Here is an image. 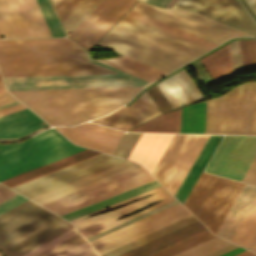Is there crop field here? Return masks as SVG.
<instances>
[{"mask_svg": "<svg viewBox=\"0 0 256 256\" xmlns=\"http://www.w3.org/2000/svg\"><path fill=\"white\" fill-rule=\"evenodd\" d=\"M93 61L77 44L0 47V64ZM7 89L148 84L97 62L0 65ZM145 85L8 90L51 125H75L125 104Z\"/></svg>", "mask_w": 256, "mask_h": 256, "instance_id": "8a807250", "label": "crop field"}, {"mask_svg": "<svg viewBox=\"0 0 256 256\" xmlns=\"http://www.w3.org/2000/svg\"><path fill=\"white\" fill-rule=\"evenodd\" d=\"M71 227L28 200L0 215V249L5 256H20Z\"/></svg>", "mask_w": 256, "mask_h": 256, "instance_id": "ac0d7876", "label": "crop field"}, {"mask_svg": "<svg viewBox=\"0 0 256 256\" xmlns=\"http://www.w3.org/2000/svg\"><path fill=\"white\" fill-rule=\"evenodd\" d=\"M54 130L21 143L0 144V182L86 149L73 145Z\"/></svg>", "mask_w": 256, "mask_h": 256, "instance_id": "34b2d1b8", "label": "crop field"}, {"mask_svg": "<svg viewBox=\"0 0 256 256\" xmlns=\"http://www.w3.org/2000/svg\"><path fill=\"white\" fill-rule=\"evenodd\" d=\"M97 44L167 73L197 57L118 24Z\"/></svg>", "mask_w": 256, "mask_h": 256, "instance_id": "412701ff", "label": "crop field"}, {"mask_svg": "<svg viewBox=\"0 0 256 256\" xmlns=\"http://www.w3.org/2000/svg\"><path fill=\"white\" fill-rule=\"evenodd\" d=\"M205 133L256 134V83L208 100Z\"/></svg>", "mask_w": 256, "mask_h": 256, "instance_id": "f4fd0767", "label": "crop field"}, {"mask_svg": "<svg viewBox=\"0 0 256 256\" xmlns=\"http://www.w3.org/2000/svg\"><path fill=\"white\" fill-rule=\"evenodd\" d=\"M242 186L201 172L183 205L215 234Z\"/></svg>", "mask_w": 256, "mask_h": 256, "instance_id": "dd49c442", "label": "crop field"}, {"mask_svg": "<svg viewBox=\"0 0 256 256\" xmlns=\"http://www.w3.org/2000/svg\"><path fill=\"white\" fill-rule=\"evenodd\" d=\"M132 9L208 39L217 44L236 36H252L192 10L158 8L137 2Z\"/></svg>", "mask_w": 256, "mask_h": 256, "instance_id": "e52e79f7", "label": "crop field"}, {"mask_svg": "<svg viewBox=\"0 0 256 256\" xmlns=\"http://www.w3.org/2000/svg\"><path fill=\"white\" fill-rule=\"evenodd\" d=\"M156 191H158L157 193H155ZM155 193L143 200L137 201V202H133L130 204H127L119 209L107 212V213H103V214H99V215H95V216H91V217H87V218H83L86 217L88 215L91 214H95V213H99V212H103L109 209H113L116 208L120 205L126 204L128 202L137 200L139 198L145 197L149 194ZM163 200V201H161ZM174 200V198L162 187H158L155 189H152L150 191L144 192L142 194L136 195L134 197L128 198L126 200L120 201L118 203L112 204L110 206L104 207L102 209L96 210L94 212L88 213L86 215L80 216L78 218L72 219L70 220L78 229L79 231L86 237H90L92 235H95L99 232H102L108 228H111L115 225H118L122 222H125L131 218H134L140 214H143L147 211H150L156 207H159L165 203H168L170 201ZM157 201H161L141 212H137L135 214H132L126 218H122V219H118L126 214L132 213L134 211H137L147 205H150L154 202ZM83 218V220L81 219ZM118 219V220H116Z\"/></svg>", "mask_w": 256, "mask_h": 256, "instance_id": "d8731c3e", "label": "crop field"}, {"mask_svg": "<svg viewBox=\"0 0 256 256\" xmlns=\"http://www.w3.org/2000/svg\"><path fill=\"white\" fill-rule=\"evenodd\" d=\"M182 137L183 135L174 134L164 154L151 174L157 180ZM207 137L208 135H184L172 158L160 176L158 181L174 195Z\"/></svg>", "mask_w": 256, "mask_h": 256, "instance_id": "5a996713", "label": "crop field"}, {"mask_svg": "<svg viewBox=\"0 0 256 256\" xmlns=\"http://www.w3.org/2000/svg\"><path fill=\"white\" fill-rule=\"evenodd\" d=\"M0 34L5 38L51 36L36 0H0Z\"/></svg>", "mask_w": 256, "mask_h": 256, "instance_id": "3316defc", "label": "crop field"}, {"mask_svg": "<svg viewBox=\"0 0 256 256\" xmlns=\"http://www.w3.org/2000/svg\"><path fill=\"white\" fill-rule=\"evenodd\" d=\"M256 156V137L225 136L207 172L242 180Z\"/></svg>", "mask_w": 256, "mask_h": 256, "instance_id": "28ad6ade", "label": "crop field"}, {"mask_svg": "<svg viewBox=\"0 0 256 256\" xmlns=\"http://www.w3.org/2000/svg\"><path fill=\"white\" fill-rule=\"evenodd\" d=\"M191 215L179 203L90 241L100 253Z\"/></svg>", "mask_w": 256, "mask_h": 256, "instance_id": "d1516ede", "label": "crop field"}, {"mask_svg": "<svg viewBox=\"0 0 256 256\" xmlns=\"http://www.w3.org/2000/svg\"><path fill=\"white\" fill-rule=\"evenodd\" d=\"M152 180H154V178L152 176H150L142 167H140L138 169H135V170H132L125 174L119 175V176L109 179L107 181H104V182H101L94 186L83 189L74 194H71V195L65 196L63 198L57 199L55 201H52L50 203L44 204L42 206L62 215L64 213L70 212L72 210L78 209L80 207L86 206L93 202L99 201L101 199L107 198L109 196L115 195L117 193L123 192L125 190H128L130 188L136 187L138 185L144 184V183L152 181ZM90 191H92V192H90ZM87 192H90V193H88L80 198L60 202V201H63V200L87 193ZM93 194H95V196H93L89 199H86L82 202L72 204V203L82 200L86 197H89ZM58 202H60V203H58ZM69 204H72V205H69ZM67 205H69V206H67ZM65 206H67V207H65Z\"/></svg>", "mask_w": 256, "mask_h": 256, "instance_id": "22f410ed", "label": "crop field"}, {"mask_svg": "<svg viewBox=\"0 0 256 256\" xmlns=\"http://www.w3.org/2000/svg\"><path fill=\"white\" fill-rule=\"evenodd\" d=\"M136 0H103L68 38L90 49Z\"/></svg>", "mask_w": 256, "mask_h": 256, "instance_id": "cbeb9de0", "label": "crop field"}, {"mask_svg": "<svg viewBox=\"0 0 256 256\" xmlns=\"http://www.w3.org/2000/svg\"><path fill=\"white\" fill-rule=\"evenodd\" d=\"M172 8L192 9L256 36V23L239 0H177Z\"/></svg>", "mask_w": 256, "mask_h": 256, "instance_id": "5142ce71", "label": "crop field"}, {"mask_svg": "<svg viewBox=\"0 0 256 256\" xmlns=\"http://www.w3.org/2000/svg\"><path fill=\"white\" fill-rule=\"evenodd\" d=\"M54 128L76 144L109 154L113 153L124 134L91 122H86L75 127Z\"/></svg>", "mask_w": 256, "mask_h": 256, "instance_id": "d9b57169", "label": "crop field"}, {"mask_svg": "<svg viewBox=\"0 0 256 256\" xmlns=\"http://www.w3.org/2000/svg\"><path fill=\"white\" fill-rule=\"evenodd\" d=\"M159 113L160 111L145 91L128 107H123L105 117L92 120V122L126 131Z\"/></svg>", "mask_w": 256, "mask_h": 256, "instance_id": "733c2abd", "label": "crop field"}, {"mask_svg": "<svg viewBox=\"0 0 256 256\" xmlns=\"http://www.w3.org/2000/svg\"><path fill=\"white\" fill-rule=\"evenodd\" d=\"M48 126L26 108L0 117V140L20 139Z\"/></svg>", "mask_w": 256, "mask_h": 256, "instance_id": "4a817a6b", "label": "crop field"}, {"mask_svg": "<svg viewBox=\"0 0 256 256\" xmlns=\"http://www.w3.org/2000/svg\"><path fill=\"white\" fill-rule=\"evenodd\" d=\"M137 167H140V165L126 161L124 163L118 164L111 168L105 169L103 171L92 174L85 178L71 182L69 184L58 187L56 189L45 192L38 196L32 197L30 199L35 201L36 203L42 205V204L49 202L53 199L63 197L65 195H68L75 191L81 190L89 185L95 184L97 182L103 181L105 179L111 178L113 176L119 175V174L127 172L129 170L135 169Z\"/></svg>", "mask_w": 256, "mask_h": 256, "instance_id": "bc2a9ffb", "label": "crop field"}, {"mask_svg": "<svg viewBox=\"0 0 256 256\" xmlns=\"http://www.w3.org/2000/svg\"><path fill=\"white\" fill-rule=\"evenodd\" d=\"M156 84L172 108L203 99L184 69Z\"/></svg>", "mask_w": 256, "mask_h": 256, "instance_id": "214f88e0", "label": "crop field"}, {"mask_svg": "<svg viewBox=\"0 0 256 256\" xmlns=\"http://www.w3.org/2000/svg\"><path fill=\"white\" fill-rule=\"evenodd\" d=\"M173 134L142 133L128 160L140 163L150 174Z\"/></svg>", "mask_w": 256, "mask_h": 256, "instance_id": "92a150f3", "label": "crop field"}, {"mask_svg": "<svg viewBox=\"0 0 256 256\" xmlns=\"http://www.w3.org/2000/svg\"><path fill=\"white\" fill-rule=\"evenodd\" d=\"M118 24L123 25L125 27H128L130 29H133L135 31H138L140 33H143L145 35H148L150 37H153L155 39H158L162 42H165L167 44H170L172 46H175L177 48H180L182 50H185L187 52H190L192 54H195L197 56L205 53L209 49L204 48L200 45H197L195 43H192L190 41H187L183 38H180L178 36H175L173 34H170L166 31H163L161 29H158L156 27H153L149 24H146L144 22H141L139 20H136L132 17H129L125 15Z\"/></svg>", "mask_w": 256, "mask_h": 256, "instance_id": "dafd665d", "label": "crop field"}, {"mask_svg": "<svg viewBox=\"0 0 256 256\" xmlns=\"http://www.w3.org/2000/svg\"><path fill=\"white\" fill-rule=\"evenodd\" d=\"M256 197V187L244 184L216 235L231 240L243 217Z\"/></svg>", "mask_w": 256, "mask_h": 256, "instance_id": "00972430", "label": "crop field"}, {"mask_svg": "<svg viewBox=\"0 0 256 256\" xmlns=\"http://www.w3.org/2000/svg\"><path fill=\"white\" fill-rule=\"evenodd\" d=\"M126 160L118 159L111 157L109 159L103 160L101 162L95 163L93 165L87 166L85 168H82L80 170L74 171L72 173L66 174L64 176L58 177L56 179L50 180L48 182H45L43 184L37 185L35 187L29 188L27 190L19 192L20 194L30 198L32 196L38 195L40 193H43L45 191L51 190L53 188H56L58 186L64 185L66 183H69L71 181L77 180L79 178L85 177L87 175H90L92 173L98 172L100 170H103L105 168L111 167L113 165H116L118 163L124 162Z\"/></svg>", "mask_w": 256, "mask_h": 256, "instance_id": "a9b5d70f", "label": "crop field"}, {"mask_svg": "<svg viewBox=\"0 0 256 256\" xmlns=\"http://www.w3.org/2000/svg\"><path fill=\"white\" fill-rule=\"evenodd\" d=\"M98 152L86 149L84 151L78 152L76 154H73L71 156H68L66 158L60 159L58 161H55L53 163L47 164L45 166H42L40 168L34 169L32 171H29L27 173H24L22 175L16 176L14 178H11L9 180L1 182L2 184L12 188L14 186H17L19 184L25 183L27 181L33 180L35 178L41 177L43 175H46L48 173L54 172L56 170L62 169L64 167H67L69 165L75 164L77 162L83 161L85 159H88L90 157L96 156Z\"/></svg>", "mask_w": 256, "mask_h": 256, "instance_id": "4177f3b9", "label": "crop field"}, {"mask_svg": "<svg viewBox=\"0 0 256 256\" xmlns=\"http://www.w3.org/2000/svg\"><path fill=\"white\" fill-rule=\"evenodd\" d=\"M204 230H206V228L197 221L121 256H147Z\"/></svg>", "mask_w": 256, "mask_h": 256, "instance_id": "730fd06b", "label": "crop field"}, {"mask_svg": "<svg viewBox=\"0 0 256 256\" xmlns=\"http://www.w3.org/2000/svg\"><path fill=\"white\" fill-rule=\"evenodd\" d=\"M199 60L214 82L235 73L229 44Z\"/></svg>", "mask_w": 256, "mask_h": 256, "instance_id": "eef30255", "label": "crop field"}, {"mask_svg": "<svg viewBox=\"0 0 256 256\" xmlns=\"http://www.w3.org/2000/svg\"><path fill=\"white\" fill-rule=\"evenodd\" d=\"M220 138L221 136L209 135L207 141L205 142L203 148L201 149L199 155L197 156L195 162L193 163L192 167L190 168L188 174L186 175L184 181L182 182L180 188L175 195L182 204Z\"/></svg>", "mask_w": 256, "mask_h": 256, "instance_id": "ae1a2a85", "label": "crop field"}, {"mask_svg": "<svg viewBox=\"0 0 256 256\" xmlns=\"http://www.w3.org/2000/svg\"><path fill=\"white\" fill-rule=\"evenodd\" d=\"M195 221H197V219L193 215H191V216L184 218L178 222H175V223L168 225L164 228H161L155 232H152V233L145 235L141 238H138L132 242H129L125 245L115 248L109 252H106V253L102 254V256H119V255L126 253L132 249H135L141 245H144L152 240H155L161 236H164L170 232H173L179 228H182L188 224H191Z\"/></svg>", "mask_w": 256, "mask_h": 256, "instance_id": "d3111659", "label": "crop field"}, {"mask_svg": "<svg viewBox=\"0 0 256 256\" xmlns=\"http://www.w3.org/2000/svg\"><path fill=\"white\" fill-rule=\"evenodd\" d=\"M160 184L154 180L152 182L146 183L144 185L138 186L136 188L130 189L123 193L117 194L115 196L109 197L107 199L101 200L99 202L93 203L86 207L80 208L78 210L72 211L70 213L62 215L64 218L70 220L72 218L78 217L80 215L86 214L88 212L94 211L96 209L102 208L104 206L110 205L112 203L118 202L120 200L126 199L128 197L134 196L136 194L142 193L144 191L150 190L152 188L158 187Z\"/></svg>", "mask_w": 256, "mask_h": 256, "instance_id": "750c4746", "label": "crop field"}, {"mask_svg": "<svg viewBox=\"0 0 256 256\" xmlns=\"http://www.w3.org/2000/svg\"><path fill=\"white\" fill-rule=\"evenodd\" d=\"M206 101L182 108L180 132L204 133Z\"/></svg>", "mask_w": 256, "mask_h": 256, "instance_id": "bd1437ed", "label": "crop field"}, {"mask_svg": "<svg viewBox=\"0 0 256 256\" xmlns=\"http://www.w3.org/2000/svg\"><path fill=\"white\" fill-rule=\"evenodd\" d=\"M181 108L162 114L131 131L179 132Z\"/></svg>", "mask_w": 256, "mask_h": 256, "instance_id": "1d83c4d3", "label": "crop field"}, {"mask_svg": "<svg viewBox=\"0 0 256 256\" xmlns=\"http://www.w3.org/2000/svg\"><path fill=\"white\" fill-rule=\"evenodd\" d=\"M127 15L132 16V17H134V18H136V19H139V20H141V21H144V22H146V23H149V24H151V25H153V26H156V27H158V28H161V29H163V30H166V31H168V32H170V33H173V34H175V35H178V36H180V37H183V38H185V39H187V40H190V41H192V42H195V43H197V44H200V45H202V46H204V47H207V48H209V49H211V48H213V47H215V46L217 45V44L212 43V42H210V41H207V40H205V39H203V38H200V37H198V36H195V35H193V34H190V33H188V32H185V31H183V30H181V29H178V28H176V27H173V26H171V25H168V24H166V23H163V22H161V21H159V20H156V19L151 18V17H149V16H146V15H144V14H141V13H139V12H137V11L132 10V9L129 10V12L127 13Z\"/></svg>", "mask_w": 256, "mask_h": 256, "instance_id": "120bbe31", "label": "crop field"}, {"mask_svg": "<svg viewBox=\"0 0 256 256\" xmlns=\"http://www.w3.org/2000/svg\"><path fill=\"white\" fill-rule=\"evenodd\" d=\"M102 0H83L62 22L69 35Z\"/></svg>", "mask_w": 256, "mask_h": 256, "instance_id": "d32e631a", "label": "crop field"}, {"mask_svg": "<svg viewBox=\"0 0 256 256\" xmlns=\"http://www.w3.org/2000/svg\"><path fill=\"white\" fill-rule=\"evenodd\" d=\"M255 230H256V199L254 200L249 211L244 217L242 223L237 229L235 235L232 238V241L246 247L247 243L249 242Z\"/></svg>", "mask_w": 256, "mask_h": 256, "instance_id": "5866460e", "label": "crop field"}, {"mask_svg": "<svg viewBox=\"0 0 256 256\" xmlns=\"http://www.w3.org/2000/svg\"><path fill=\"white\" fill-rule=\"evenodd\" d=\"M109 157H111V156H107V155H104V154H101V155L93 157V158L90 157L91 159L85 160V161L80 162V163L77 162L78 164H75V165H72V166L69 165L70 167L64 168L62 170H59V171L51 173V174L48 173L49 175L43 176L41 178L35 179L33 181H30V182L27 181L28 183H25V184H22V185L19 184L20 186L14 187L12 189L19 192L21 190H24V189H27L29 187L35 186L37 184L43 183V182L48 181L50 179L56 178L58 176L64 175L66 173L72 172L74 170L80 169L82 167H85L87 165L93 164L95 162L101 161V160L109 158Z\"/></svg>", "mask_w": 256, "mask_h": 256, "instance_id": "028f5c9d", "label": "crop field"}, {"mask_svg": "<svg viewBox=\"0 0 256 256\" xmlns=\"http://www.w3.org/2000/svg\"><path fill=\"white\" fill-rule=\"evenodd\" d=\"M215 237L212 233H210L208 230L200 233V234H197L191 238H188L184 241H181L175 245H172L166 249H163L157 253H154L150 256H172L176 253H179L185 249H188L192 246H195L199 243H202L208 239H211Z\"/></svg>", "mask_w": 256, "mask_h": 256, "instance_id": "e1f06a70", "label": "crop field"}, {"mask_svg": "<svg viewBox=\"0 0 256 256\" xmlns=\"http://www.w3.org/2000/svg\"><path fill=\"white\" fill-rule=\"evenodd\" d=\"M52 36H65L50 0H37Z\"/></svg>", "mask_w": 256, "mask_h": 256, "instance_id": "0bd39190", "label": "crop field"}, {"mask_svg": "<svg viewBox=\"0 0 256 256\" xmlns=\"http://www.w3.org/2000/svg\"><path fill=\"white\" fill-rule=\"evenodd\" d=\"M231 243L215 237L174 256H204Z\"/></svg>", "mask_w": 256, "mask_h": 256, "instance_id": "b80d0937", "label": "crop field"}, {"mask_svg": "<svg viewBox=\"0 0 256 256\" xmlns=\"http://www.w3.org/2000/svg\"><path fill=\"white\" fill-rule=\"evenodd\" d=\"M245 70L256 69V40H239Z\"/></svg>", "mask_w": 256, "mask_h": 256, "instance_id": "c035e120", "label": "crop field"}, {"mask_svg": "<svg viewBox=\"0 0 256 256\" xmlns=\"http://www.w3.org/2000/svg\"><path fill=\"white\" fill-rule=\"evenodd\" d=\"M74 43L67 38H45V39H9L0 40V46L6 45H34V44H62Z\"/></svg>", "mask_w": 256, "mask_h": 256, "instance_id": "c21b1889", "label": "crop field"}, {"mask_svg": "<svg viewBox=\"0 0 256 256\" xmlns=\"http://www.w3.org/2000/svg\"><path fill=\"white\" fill-rule=\"evenodd\" d=\"M76 233H78V232L73 227L21 256H36V255L40 254L41 252L51 248L52 246L60 243L61 241L69 238L70 236H72Z\"/></svg>", "mask_w": 256, "mask_h": 256, "instance_id": "03da06ac", "label": "crop field"}, {"mask_svg": "<svg viewBox=\"0 0 256 256\" xmlns=\"http://www.w3.org/2000/svg\"><path fill=\"white\" fill-rule=\"evenodd\" d=\"M85 241L82 236L78 233L72 237H70L69 239L61 242L60 244L52 247L51 249L41 253L38 256H57L63 252H65L66 250L76 246L77 244L81 243Z\"/></svg>", "mask_w": 256, "mask_h": 256, "instance_id": "b54c1fbb", "label": "crop field"}, {"mask_svg": "<svg viewBox=\"0 0 256 256\" xmlns=\"http://www.w3.org/2000/svg\"><path fill=\"white\" fill-rule=\"evenodd\" d=\"M140 135L141 133H126L119 147L117 146L118 148L115 154H113L115 156L127 159Z\"/></svg>", "mask_w": 256, "mask_h": 256, "instance_id": "5d738f31", "label": "crop field"}, {"mask_svg": "<svg viewBox=\"0 0 256 256\" xmlns=\"http://www.w3.org/2000/svg\"><path fill=\"white\" fill-rule=\"evenodd\" d=\"M59 256H98V255L85 241Z\"/></svg>", "mask_w": 256, "mask_h": 256, "instance_id": "d23c7cc5", "label": "crop field"}, {"mask_svg": "<svg viewBox=\"0 0 256 256\" xmlns=\"http://www.w3.org/2000/svg\"><path fill=\"white\" fill-rule=\"evenodd\" d=\"M81 1L82 0H61L55 6L61 21H63Z\"/></svg>", "mask_w": 256, "mask_h": 256, "instance_id": "425ffa30", "label": "crop field"}, {"mask_svg": "<svg viewBox=\"0 0 256 256\" xmlns=\"http://www.w3.org/2000/svg\"><path fill=\"white\" fill-rule=\"evenodd\" d=\"M230 45H231V50H232V55H233L235 71H236V73L243 71L244 68H243V63H242L241 52H240L238 40L230 42Z\"/></svg>", "mask_w": 256, "mask_h": 256, "instance_id": "25e5ab78", "label": "crop field"}, {"mask_svg": "<svg viewBox=\"0 0 256 256\" xmlns=\"http://www.w3.org/2000/svg\"><path fill=\"white\" fill-rule=\"evenodd\" d=\"M26 200H28V199H26L18 194L7 199L6 201L0 203V214L10 210L11 208L19 205L20 203H22Z\"/></svg>", "mask_w": 256, "mask_h": 256, "instance_id": "73cf0c24", "label": "crop field"}, {"mask_svg": "<svg viewBox=\"0 0 256 256\" xmlns=\"http://www.w3.org/2000/svg\"><path fill=\"white\" fill-rule=\"evenodd\" d=\"M243 181L252 183V184H256V158H255L254 162L252 163L250 169L248 170L247 174L245 175Z\"/></svg>", "mask_w": 256, "mask_h": 256, "instance_id": "89e229c0", "label": "crop field"}, {"mask_svg": "<svg viewBox=\"0 0 256 256\" xmlns=\"http://www.w3.org/2000/svg\"><path fill=\"white\" fill-rule=\"evenodd\" d=\"M23 108H26V107L24 105L20 104V105H16V106H13V107H10V108L0 110V116H3L5 114H8V113H11V112L23 109Z\"/></svg>", "mask_w": 256, "mask_h": 256, "instance_id": "1f2cbd36", "label": "crop field"}, {"mask_svg": "<svg viewBox=\"0 0 256 256\" xmlns=\"http://www.w3.org/2000/svg\"><path fill=\"white\" fill-rule=\"evenodd\" d=\"M12 192H14V191H12V190H10V189H8V188H6L5 186H3V185H1L0 184V199L1 198H3V197H5V196H7L8 194H10V193H12ZM15 193V192H14ZM13 194V193H12ZM16 194V193H15ZM15 194H13V195H15ZM11 195V194H10ZM13 195H11V196H13ZM9 196V195H8ZM7 196V197H8ZM11 196H9V197H11ZM8 197V198H9ZM6 198V197H5ZM4 199V198H3ZM7 199V198H6ZM6 199H4V200H6ZM2 200V199H1ZM0 200V201H1ZM4 200H2V201H4ZM1 201V202H2Z\"/></svg>", "mask_w": 256, "mask_h": 256, "instance_id": "dbb93151", "label": "crop field"}, {"mask_svg": "<svg viewBox=\"0 0 256 256\" xmlns=\"http://www.w3.org/2000/svg\"><path fill=\"white\" fill-rule=\"evenodd\" d=\"M236 247H238V246H236V245H234V244H231V245H229V246H227V247H225V248H222V249H220V250H218V251H215V252H213V253H211V254H209V255H206V256H218V255H220V254H222V253H225V252H227V251H229V250H231V249H234V248H236Z\"/></svg>", "mask_w": 256, "mask_h": 256, "instance_id": "0fb4a251", "label": "crop field"}, {"mask_svg": "<svg viewBox=\"0 0 256 256\" xmlns=\"http://www.w3.org/2000/svg\"><path fill=\"white\" fill-rule=\"evenodd\" d=\"M16 101L11 95L8 93L0 95V105Z\"/></svg>", "mask_w": 256, "mask_h": 256, "instance_id": "1d79db26", "label": "crop field"}, {"mask_svg": "<svg viewBox=\"0 0 256 256\" xmlns=\"http://www.w3.org/2000/svg\"><path fill=\"white\" fill-rule=\"evenodd\" d=\"M247 248L256 252V231H255L254 235L252 236L250 242L248 243Z\"/></svg>", "mask_w": 256, "mask_h": 256, "instance_id": "9d1cf04e", "label": "crop field"}, {"mask_svg": "<svg viewBox=\"0 0 256 256\" xmlns=\"http://www.w3.org/2000/svg\"><path fill=\"white\" fill-rule=\"evenodd\" d=\"M171 0H146V2L153 3L159 6H167Z\"/></svg>", "mask_w": 256, "mask_h": 256, "instance_id": "447ae74e", "label": "crop field"}, {"mask_svg": "<svg viewBox=\"0 0 256 256\" xmlns=\"http://www.w3.org/2000/svg\"><path fill=\"white\" fill-rule=\"evenodd\" d=\"M248 6L251 8L253 13L256 15V0H245Z\"/></svg>", "mask_w": 256, "mask_h": 256, "instance_id": "0765c3eb", "label": "crop field"}, {"mask_svg": "<svg viewBox=\"0 0 256 256\" xmlns=\"http://www.w3.org/2000/svg\"><path fill=\"white\" fill-rule=\"evenodd\" d=\"M243 250H245V249H243V248H241V247H238V248H236V249H234V250H231V251H229V252H227V253H225V254H222V255H220V256H232V255H234V254H236V253H239V252H241V251H243Z\"/></svg>", "mask_w": 256, "mask_h": 256, "instance_id": "db79e9e6", "label": "crop field"}, {"mask_svg": "<svg viewBox=\"0 0 256 256\" xmlns=\"http://www.w3.org/2000/svg\"><path fill=\"white\" fill-rule=\"evenodd\" d=\"M254 255H256V254H254V253H252V252H250L248 250H245V251H243V252H241L239 254H236L234 256H254Z\"/></svg>", "mask_w": 256, "mask_h": 256, "instance_id": "7b73153f", "label": "crop field"}, {"mask_svg": "<svg viewBox=\"0 0 256 256\" xmlns=\"http://www.w3.org/2000/svg\"><path fill=\"white\" fill-rule=\"evenodd\" d=\"M16 104H20V103L18 101L13 102V103H9V104L0 106V109L6 108V107H10V106H13V105H16Z\"/></svg>", "mask_w": 256, "mask_h": 256, "instance_id": "78b8030e", "label": "crop field"}, {"mask_svg": "<svg viewBox=\"0 0 256 256\" xmlns=\"http://www.w3.org/2000/svg\"><path fill=\"white\" fill-rule=\"evenodd\" d=\"M6 93L5 89H0V94Z\"/></svg>", "mask_w": 256, "mask_h": 256, "instance_id": "0f1d7ab4", "label": "crop field"}, {"mask_svg": "<svg viewBox=\"0 0 256 256\" xmlns=\"http://www.w3.org/2000/svg\"><path fill=\"white\" fill-rule=\"evenodd\" d=\"M174 2H175V0H172V1L169 3L168 6L171 7Z\"/></svg>", "mask_w": 256, "mask_h": 256, "instance_id": "e1d0b9f6", "label": "crop field"}, {"mask_svg": "<svg viewBox=\"0 0 256 256\" xmlns=\"http://www.w3.org/2000/svg\"><path fill=\"white\" fill-rule=\"evenodd\" d=\"M54 5H56L60 0H52Z\"/></svg>", "mask_w": 256, "mask_h": 256, "instance_id": "ae633e8c", "label": "crop field"}, {"mask_svg": "<svg viewBox=\"0 0 256 256\" xmlns=\"http://www.w3.org/2000/svg\"><path fill=\"white\" fill-rule=\"evenodd\" d=\"M0 88H4L3 87V83H2V80L0 79Z\"/></svg>", "mask_w": 256, "mask_h": 256, "instance_id": "d14b1444", "label": "crop field"}, {"mask_svg": "<svg viewBox=\"0 0 256 256\" xmlns=\"http://www.w3.org/2000/svg\"><path fill=\"white\" fill-rule=\"evenodd\" d=\"M0 256H2V255L0 254Z\"/></svg>", "mask_w": 256, "mask_h": 256, "instance_id": "c39391a2", "label": "crop field"}, {"mask_svg": "<svg viewBox=\"0 0 256 256\" xmlns=\"http://www.w3.org/2000/svg\"><path fill=\"white\" fill-rule=\"evenodd\" d=\"M143 1H145V0H143Z\"/></svg>", "mask_w": 256, "mask_h": 256, "instance_id": "ade564c9", "label": "crop field"}, {"mask_svg": "<svg viewBox=\"0 0 256 256\" xmlns=\"http://www.w3.org/2000/svg\"><path fill=\"white\" fill-rule=\"evenodd\" d=\"M0 78H1V76H0Z\"/></svg>", "mask_w": 256, "mask_h": 256, "instance_id": "c5b07064", "label": "crop field"}]
</instances>
